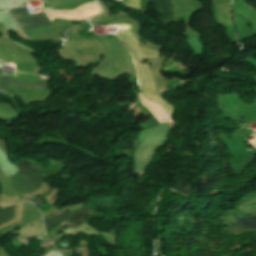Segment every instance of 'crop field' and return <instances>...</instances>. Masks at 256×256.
Listing matches in <instances>:
<instances>
[{"label": "crop field", "mask_w": 256, "mask_h": 256, "mask_svg": "<svg viewBox=\"0 0 256 256\" xmlns=\"http://www.w3.org/2000/svg\"><path fill=\"white\" fill-rule=\"evenodd\" d=\"M19 172L12 179V187L15 191L27 188L28 192L36 189L39 182L44 178L30 173L33 170H38L32 163L23 160L18 166Z\"/></svg>", "instance_id": "1"}, {"label": "crop field", "mask_w": 256, "mask_h": 256, "mask_svg": "<svg viewBox=\"0 0 256 256\" xmlns=\"http://www.w3.org/2000/svg\"><path fill=\"white\" fill-rule=\"evenodd\" d=\"M21 19L26 28H35L51 24L43 13L29 15L26 8L13 10Z\"/></svg>", "instance_id": "2"}, {"label": "crop field", "mask_w": 256, "mask_h": 256, "mask_svg": "<svg viewBox=\"0 0 256 256\" xmlns=\"http://www.w3.org/2000/svg\"><path fill=\"white\" fill-rule=\"evenodd\" d=\"M93 210L83 207L80 209L76 214L68 218L66 221L58 225L55 229H53L51 232L55 235V237L59 234L60 231H62L63 227L65 225H68V227L76 228L80 224H82L87 218L85 217L89 213H91Z\"/></svg>", "instance_id": "3"}, {"label": "crop field", "mask_w": 256, "mask_h": 256, "mask_svg": "<svg viewBox=\"0 0 256 256\" xmlns=\"http://www.w3.org/2000/svg\"><path fill=\"white\" fill-rule=\"evenodd\" d=\"M154 4L161 19H173V3L170 0H148Z\"/></svg>", "instance_id": "4"}, {"label": "crop field", "mask_w": 256, "mask_h": 256, "mask_svg": "<svg viewBox=\"0 0 256 256\" xmlns=\"http://www.w3.org/2000/svg\"><path fill=\"white\" fill-rule=\"evenodd\" d=\"M0 82L8 84L12 87H17V88H46V83H37V82L21 83L19 81L11 80V78L9 77H0Z\"/></svg>", "instance_id": "5"}, {"label": "crop field", "mask_w": 256, "mask_h": 256, "mask_svg": "<svg viewBox=\"0 0 256 256\" xmlns=\"http://www.w3.org/2000/svg\"><path fill=\"white\" fill-rule=\"evenodd\" d=\"M69 216H71V215L56 213V214H53L51 216L44 218L46 231H48L49 229H51L52 227H54L61 221L67 219Z\"/></svg>", "instance_id": "6"}, {"label": "crop field", "mask_w": 256, "mask_h": 256, "mask_svg": "<svg viewBox=\"0 0 256 256\" xmlns=\"http://www.w3.org/2000/svg\"><path fill=\"white\" fill-rule=\"evenodd\" d=\"M235 223H240L241 228H256V216L248 218H236Z\"/></svg>", "instance_id": "7"}, {"label": "crop field", "mask_w": 256, "mask_h": 256, "mask_svg": "<svg viewBox=\"0 0 256 256\" xmlns=\"http://www.w3.org/2000/svg\"><path fill=\"white\" fill-rule=\"evenodd\" d=\"M13 207L14 206L8 208H1L0 213L4 214L0 215V223H3L11 218L13 214Z\"/></svg>", "instance_id": "8"}, {"label": "crop field", "mask_w": 256, "mask_h": 256, "mask_svg": "<svg viewBox=\"0 0 256 256\" xmlns=\"http://www.w3.org/2000/svg\"><path fill=\"white\" fill-rule=\"evenodd\" d=\"M128 33H130L129 31H127ZM132 35V33H130Z\"/></svg>", "instance_id": "9"}]
</instances>
